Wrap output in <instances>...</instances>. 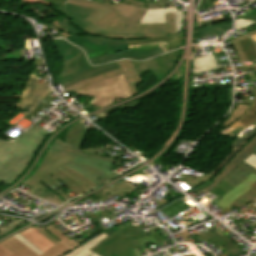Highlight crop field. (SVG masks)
<instances>
[{
	"mask_svg": "<svg viewBox=\"0 0 256 256\" xmlns=\"http://www.w3.org/2000/svg\"><path fill=\"white\" fill-rule=\"evenodd\" d=\"M133 0H125L116 7L89 1L69 0V3L97 9L85 20L94 24L81 31L87 35L106 36L115 39L154 38L175 33L173 13L166 14V23L138 25L147 9L126 5Z\"/></svg>",
	"mask_w": 256,
	"mask_h": 256,
	"instance_id": "8a807250",
	"label": "crop field"
},
{
	"mask_svg": "<svg viewBox=\"0 0 256 256\" xmlns=\"http://www.w3.org/2000/svg\"><path fill=\"white\" fill-rule=\"evenodd\" d=\"M74 157L61 153L60 156L48 151L43 162L35 171L34 175L28 178L24 183L30 185L31 187L35 185L38 181L45 178L47 175L54 174L55 177L62 182H64L67 187L76 195L79 196L89 190L78 183L74 178L60 170L59 168L67 164Z\"/></svg>",
	"mask_w": 256,
	"mask_h": 256,
	"instance_id": "ac0d7876",
	"label": "crop field"
},
{
	"mask_svg": "<svg viewBox=\"0 0 256 256\" xmlns=\"http://www.w3.org/2000/svg\"><path fill=\"white\" fill-rule=\"evenodd\" d=\"M77 94L93 97L90 103L101 108L113 104L115 98L128 99L133 96L122 74L88 86Z\"/></svg>",
	"mask_w": 256,
	"mask_h": 256,
	"instance_id": "34b2d1b8",
	"label": "crop field"
},
{
	"mask_svg": "<svg viewBox=\"0 0 256 256\" xmlns=\"http://www.w3.org/2000/svg\"><path fill=\"white\" fill-rule=\"evenodd\" d=\"M53 45L63 60V71L56 78L58 84L103 66H90L83 52L64 40H53Z\"/></svg>",
	"mask_w": 256,
	"mask_h": 256,
	"instance_id": "412701ff",
	"label": "crop field"
},
{
	"mask_svg": "<svg viewBox=\"0 0 256 256\" xmlns=\"http://www.w3.org/2000/svg\"><path fill=\"white\" fill-rule=\"evenodd\" d=\"M48 150H51L60 155L61 152L69 153L76 158L73 161L84 164L86 166L95 168L110 177H115L116 173L112 172L114 159L106 157H93L80 152V149H76L62 140L57 139L53 142Z\"/></svg>",
	"mask_w": 256,
	"mask_h": 256,
	"instance_id": "f4fd0767",
	"label": "crop field"
},
{
	"mask_svg": "<svg viewBox=\"0 0 256 256\" xmlns=\"http://www.w3.org/2000/svg\"><path fill=\"white\" fill-rule=\"evenodd\" d=\"M140 246L139 241L116 231L91 251L100 256H137L133 249Z\"/></svg>",
	"mask_w": 256,
	"mask_h": 256,
	"instance_id": "dd49c442",
	"label": "crop field"
},
{
	"mask_svg": "<svg viewBox=\"0 0 256 256\" xmlns=\"http://www.w3.org/2000/svg\"><path fill=\"white\" fill-rule=\"evenodd\" d=\"M60 36L73 44L80 46L85 53L106 50L111 52H120L127 49L126 40L108 39L105 37L80 36L76 37L64 32L59 33Z\"/></svg>",
	"mask_w": 256,
	"mask_h": 256,
	"instance_id": "e52e79f7",
	"label": "crop field"
},
{
	"mask_svg": "<svg viewBox=\"0 0 256 256\" xmlns=\"http://www.w3.org/2000/svg\"><path fill=\"white\" fill-rule=\"evenodd\" d=\"M72 250L62 241L39 256H61ZM0 256H38L13 236L0 242Z\"/></svg>",
	"mask_w": 256,
	"mask_h": 256,
	"instance_id": "d8731c3e",
	"label": "crop field"
},
{
	"mask_svg": "<svg viewBox=\"0 0 256 256\" xmlns=\"http://www.w3.org/2000/svg\"><path fill=\"white\" fill-rule=\"evenodd\" d=\"M121 70L117 63L100 67L86 74L78 76L74 79L62 83V87L67 91L76 89V91L91 85L99 80L107 79L115 75L121 74Z\"/></svg>",
	"mask_w": 256,
	"mask_h": 256,
	"instance_id": "5a996713",
	"label": "crop field"
},
{
	"mask_svg": "<svg viewBox=\"0 0 256 256\" xmlns=\"http://www.w3.org/2000/svg\"><path fill=\"white\" fill-rule=\"evenodd\" d=\"M180 50L163 54L154 59L143 61V62H133L138 74L141 76L144 72L150 70L155 77L160 81L163 79L169 70L174 65L175 61L179 56Z\"/></svg>",
	"mask_w": 256,
	"mask_h": 256,
	"instance_id": "3316defc",
	"label": "crop field"
},
{
	"mask_svg": "<svg viewBox=\"0 0 256 256\" xmlns=\"http://www.w3.org/2000/svg\"><path fill=\"white\" fill-rule=\"evenodd\" d=\"M36 76L31 75L22 94L17 107L32 112L42 99L51 91L49 84L39 85L35 83Z\"/></svg>",
	"mask_w": 256,
	"mask_h": 256,
	"instance_id": "28ad6ade",
	"label": "crop field"
},
{
	"mask_svg": "<svg viewBox=\"0 0 256 256\" xmlns=\"http://www.w3.org/2000/svg\"><path fill=\"white\" fill-rule=\"evenodd\" d=\"M220 188L224 189L228 193L225 194L222 199L216 204L221 208L222 213L231 211V204L238 199L241 195H243L248 190L252 189L256 186V176L250 175L246 178L242 183L238 186H233L226 181H222L219 185Z\"/></svg>",
	"mask_w": 256,
	"mask_h": 256,
	"instance_id": "d1516ede",
	"label": "crop field"
},
{
	"mask_svg": "<svg viewBox=\"0 0 256 256\" xmlns=\"http://www.w3.org/2000/svg\"><path fill=\"white\" fill-rule=\"evenodd\" d=\"M181 33L171 34L165 37L144 39V40H127L128 49H149L159 46L162 53L179 48L181 45Z\"/></svg>",
	"mask_w": 256,
	"mask_h": 256,
	"instance_id": "22f410ed",
	"label": "crop field"
},
{
	"mask_svg": "<svg viewBox=\"0 0 256 256\" xmlns=\"http://www.w3.org/2000/svg\"><path fill=\"white\" fill-rule=\"evenodd\" d=\"M256 149V135L249 140L245 146L218 172L211 180L213 184L203 188L201 191L207 193L217 184H219L232 170L235 169L243 160Z\"/></svg>",
	"mask_w": 256,
	"mask_h": 256,
	"instance_id": "cbeb9de0",
	"label": "crop field"
},
{
	"mask_svg": "<svg viewBox=\"0 0 256 256\" xmlns=\"http://www.w3.org/2000/svg\"><path fill=\"white\" fill-rule=\"evenodd\" d=\"M33 155L29 152L23 158L13 155L0 169V179L8 184L14 182L25 171Z\"/></svg>",
	"mask_w": 256,
	"mask_h": 256,
	"instance_id": "5142ce71",
	"label": "crop field"
},
{
	"mask_svg": "<svg viewBox=\"0 0 256 256\" xmlns=\"http://www.w3.org/2000/svg\"><path fill=\"white\" fill-rule=\"evenodd\" d=\"M161 54L159 47L149 49V50H125L120 53L112 54V55H102L94 58L88 59L92 65H97L101 63H105L108 61L120 59V58H132L135 60L148 59L153 56Z\"/></svg>",
	"mask_w": 256,
	"mask_h": 256,
	"instance_id": "d9b57169",
	"label": "crop field"
},
{
	"mask_svg": "<svg viewBox=\"0 0 256 256\" xmlns=\"http://www.w3.org/2000/svg\"><path fill=\"white\" fill-rule=\"evenodd\" d=\"M54 10L69 18L71 23L80 30L87 24L92 26L83 19L95 11L94 9L66 3L61 9L55 7Z\"/></svg>",
	"mask_w": 256,
	"mask_h": 256,
	"instance_id": "733c2abd",
	"label": "crop field"
},
{
	"mask_svg": "<svg viewBox=\"0 0 256 256\" xmlns=\"http://www.w3.org/2000/svg\"><path fill=\"white\" fill-rule=\"evenodd\" d=\"M41 182V181H40ZM43 183H45L47 186H49L51 189H53L55 192H57L59 195H61L66 200L70 199L67 197L63 191H61L59 188H57L55 185H53L50 181H48L46 178L42 180ZM28 193L42 198L44 200L50 201L52 203L61 205L64 203L60 198H58L53 192H51L49 189L44 187L42 184L37 183L31 190L28 191Z\"/></svg>",
	"mask_w": 256,
	"mask_h": 256,
	"instance_id": "4a817a6b",
	"label": "crop field"
},
{
	"mask_svg": "<svg viewBox=\"0 0 256 256\" xmlns=\"http://www.w3.org/2000/svg\"><path fill=\"white\" fill-rule=\"evenodd\" d=\"M35 125L24 134L20 135L17 139H15L14 142L26 145L37 150L43 139L50 133Z\"/></svg>",
	"mask_w": 256,
	"mask_h": 256,
	"instance_id": "bc2a9ffb",
	"label": "crop field"
},
{
	"mask_svg": "<svg viewBox=\"0 0 256 256\" xmlns=\"http://www.w3.org/2000/svg\"><path fill=\"white\" fill-rule=\"evenodd\" d=\"M65 166H67V167L75 170L76 172L80 173L81 175L85 176L88 180H90L96 186L112 179L97 170H94L92 168L86 167L84 165L78 164L73 161L69 162Z\"/></svg>",
	"mask_w": 256,
	"mask_h": 256,
	"instance_id": "214f88e0",
	"label": "crop field"
},
{
	"mask_svg": "<svg viewBox=\"0 0 256 256\" xmlns=\"http://www.w3.org/2000/svg\"><path fill=\"white\" fill-rule=\"evenodd\" d=\"M252 126H254L255 128L231 143V151L223 159V161L210 173L215 175L218 171H220L225 166V164L244 146V144L256 134V123Z\"/></svg>",
	"mask_w": 256,
	"mask_h": 256,
	"instance_id": "92a150f3",
	"label": "crop field"
},
{
	"mask_svg": "<svg viewBox=\"0 0 256 256\" xmlns=\"http://www.w3.org/2000/svg\"><path fill=\"white\" fill-rule=\"evenodd\" d=\"M118 64L123 72V75L133 93V95L137 94L136 86L135 84L140 83L141 80L133 67L131 61L129 60H120L118 61Z\"/></svg>",
	"mask_w": 256,
	"mask_h": 256,
	"instance_id": "dafd665d",
	"label": "crop field"
},
{
	"mask_svg": "<svg viewBox=\"0 0 256 256\" xmlns=\"http://www.w3.org/2000/svg\"><path fill=\"white\" fill-rule=\"evenodd\" d=\"M20 235L25 237L31 244H33L43 252L54 245L51 241L38 233L34 228H29L20 232Z\"/></svg>",
	"mask_w": 256,
	"mask_h": 256,
	"instance_id": "00972430",
	"label": "crop field"
},
{
	"mask_svg": "<svg viewBox=\"0 0 256 256\" xmlns=\"http://www.w3.org/2000/svg\"><path fill=\"white\" fill-rule=\"evenodd\" d=\"M107 236L108 235L101 233L63 256H98L89 250L92 249L96 244L100 243Z\"/></svg>",
	"mask_w": 256,
	"mask_h": 256,
	"instance_id": "a9b5d70f",
	"label": "crop field"
},
{
	"mask_svg": "<svg viewBox=\"0 0 256 256\" xmlns=\"http://www.w3.org/2000/svg\"><path fill=\"white\" fill-rule=\"evenodd\" d=\"M256 122V98L250 110L231 127L232 131L227 134L236 135Z\"/></svg>",
	"mask_w": 256,
	"mask_h": 256,
	"instance_id": "4177f3b9",
	"label": "crop field"
},
{
	"mask_svg": "<svg viewBox=\"0 0 256 256\" xmlns=\"http://www.w3.org/2000/svg\"><path fill=\"white\" fill-rule=\"evenodd\" d=\"M218 69L217 64L214 60L213 55L204 56L197 59L192 60L190 73H199L204 71L216 70Z\"/></svg>",
	"mask_w": 256,
	"mask_h": 256,
	"instance_id": "730fd06b",
	"label": "crop field"
},
{
	"mask_svg": "<svg viewBox=\"0 0 256 256\" xmlns=\"http://www.w3.org/2000/svg\"><path fill=\"white\" fill-rule=\"evenodd\" d=\"M232 29V21H225L220 24L212 25L210 27L198 29L196 38H204L211 36H223L227 30Z\"/></svg>",
	"mask_w": 256,
	"mask_h": 256,
	"instance_id": "eef30255",
	"label": "crop field"
},
{
	"mask_svg": "<svg viewBox=\"0 0 256 256\" xmlns=\"http://www.w3.org/2000/svg\"><path fill=\"white\" fill-rule=\"evenodd\" d=\"M77 124V123H76ZM83 125L80 123L79 125H75L71 128H69L68 133L65 137L66 143L76 147L80 148L83 138L86 134L84 131L86 128H84Z\"/></svg>",
	"mask_w": 256,
	"mask_h": 256,
	"instance_id": "ae1a2a85",
	"label": "crop field"
},
{
	"mask_svg": "<svg viewBox=\"0 0 256 256\" xmlns=\"http://www.w3.org/2000/svg\"><path fill=\"white\" fill-rule=\"evenodd\" d=\"M138 189L136 186L130 184L127 181H120L115 184H112L104 189H102L103 192H105L109 197L114 194H119L120 196H125L126 194Z\"/></svg>",
	"mask_w": 256,
	"mask_h": 256,
	"instance_id": "d3111659",
	"label": "crop field"
},
{
	"mask_svg": "<svg viewBox=\"0 0 256 256\" xmlns=\"http://www.w3.org/2000/svg\"><path fill=\"white\" fill-rule=\"evenodd\" d=\"M207 229V227L205 226ZM208 230V229H207ZM216 231V230H215ZM208 230L209 237L219 246H222L229 254L232 256H237L243 252H241L237 246L228 241L226 238L218 234L217 232Z\"/></svg>",
	"mask_w": 256,
	"mask_h": 256,
	"instance_id": "750c4746",
	"label": "crop field"
},
{
	"mask_svg": "<svg viewBox=\"0 0 256 256\" xmlns=\"http://www.w3.org/2000/svg\"><path fill=\"white\" fill-rule=\"evenodd\" d=\"M177 11L176 7L164 9H148L144 18L139 24L160 23L164 22V13Z\"/></svg>",
	"mask_w": 256,
	"mask_h": 256,
	"instance_id": "bd1437ed",
	"label": "crop field"
},
{
	"mask_svg": "<svg viewBox=\"0 0 256 256\" xmlns=\"http://www.w3.org/2000/svg\"><path fill=\"white\" fill-rule=\"evenodd\" d=\"M11 141H7L4 139H0V168L8 161V159L12 156L9 154L13 148L17 145Z\"/></svg>",
	"mask_w": 256,
	"mask_h": 256,
	"instance_id": "1d83c4d3",
	"label": "crop field"
},
{
	"mask_svg": "<svg viewBox=\"0 0 256 256\" xmlns=\"http://www.w3.org/2000/svg\"><path fill=\"white\" fill-rule=\"evenodd\" d=\"M55 23L57 24L58 29L61 31L77 36L86 35L77 28H75L72 24H70V21L67 18L63 17L62 15L58 17Z\"/></svg>",
	"mask_w": 256,
	"mask_h": 256,
	"instance_id": "120bbe31",
	"label": "crop field"
},
{
	"mask_svg": "<svg viewBox=\"0 0 256 256\" xmlns=\"http://www.w3.org/2000/svg\"><path fill=\"white\" fill-rule=\"evenodd\" d=\"M60 169H62L63 171H65L66 173H68L69 175L74 177L77 181H79L87 189L91 190L96 187L90 181H88L85 177L81 176L80 174L76 173L75 171H73L65 166Z\"/></svg>",
	"mask_w": 256,
	"mask_h": 256,
	"instance_id": "d32e631a",
	"label": "crop field"
},
{
	"mask_svg": "<svg viewBox=\"0 0 256 256\" xmlns=\"http://www.w3.org/2000/svg\"><path fill=\"white\" fill-rule=\"evenodd\" d=\"M232 173L245 179L252 173L256 175V169L243 162Z\"/></svg>",
	"mask_w": 256,
	"mask_h": 256,
	"instance_id": "5866460e",
	"label": "crop field"
},
{
	"mask_svg": "<svg viewBox=\"0 0 256 256\" xmlns=\"http://www.w3.org/2000/svg\"><path fill=\"white\" fill-rule=\"evenodd\" d=\"M118 231H120L132 238H135V239H138L140 237L147 235L139 226L135 228V227L129 225V226H127L123 229H120Z\"/></svg>",
	"mask_w": 256,
	"mask_h": 256,
	"instance_id": "028f5c9d",
	"label": "crop field"
},
{
	"mask_svg": "<svg viewBox=\"0 0 256 256\" xmlns=\"http://www.w3.org/2000/svg\"><path fill=\"white\" fill-rule=\"evenodd\" d=\"M256 200V187L250 191H248L246 194H244L242 197H240L237 201L233 203L231 207L234 206H240L244 205L250 201Z\"/></svg>",
	"mask_w": 256,
	"mask_h": 256,
	"instance_id": "e1f06a70",
	"label": "crop field"
},
{
	"mask_svg": "<svg viewBox=\"0 0 256 256\" xmlns=\"http://www.w3.org/2000/svg\"><path fill=\"white\" fill-rule=\"evenodd\" d=\"M49 232H51L52 234H54L55 236H57L59 239H61L63 242H65L69 247H71L72 249L79 246L77 243H75L73 240L71 241L70 239H68L65 235H63L61 232H59L54 226H49L47 228ZM64 243V244H65Z\"/></svg>",
	"mask_w": 256,
	"mask_h": 256,
	"instance_id": "0bd39190",
	"label": "crop field"
},
{
	"mask_svg": "<svg viewBox=\"0 0 256 256\" xmlns=\"http://www.w3.org/2000/svg\"><path fill=\"white\" fill-rule=\"evenodd\" d=\"M245 38H247V37L246 36H241V37L231 41L233 46H234V48H235V50H236V53H237V55L239 57V61L240 62H244V61H247V60H246V58H245V56H244V54H243L242 50L240 49V47H239L237 42H239V41H241V40H243Z\"/></svg>",
	"mask_w": 256,
	"mask_h": 256,
	"instance_id": "b80d0937",
	"label": "crop field"
},
{
	"mask_svg": "<svg viewBox=\"0 0 256 256\" xmlns=\"http://www.w3.org/2000/svg\"><path fill=\"white\" fill-rule=\"evenodd\" d=\"M19 146H16L15 149L11 152L12 154H15V155H18V156H21L23 157L24 154L29 151L31 153H35L36 150L34 149H31V148H28L26 146H23V145H20L18 144ZM23 153V154H22Z\"/></svg>",
	"mask_w": 256,
	"mask_h": 256,
	"instance_id": "c035e120",
	"label": "crop field"
},
{
	"mask_svg": "<svg viewBox=\"0 0 256 256\" xmlns=\"http://www.w3.org/2000/svg\"><path fill=\"white\" fill-rule=\"evenodd\" d=\"M212 176L213 175H211L210 173H207L206 175H203V176H201L200 178H198V179H196L194 181H189V182H185V183H187L190 187L193 188V187H195V186H197V185H199V184L209 180Z\"/></svg>",
	"mask_w": 256,
	"mask_h": 256,
	"instance_id": "c21b1889",
	"label": "crop field"
},
{
	"mask_svg": "<svg viewBox=\"0 0 256 256\" xmlns=\"http://www.w3.org/2000/svg\"><path fill=\"white\" fill-rule=\"evenodd\" d=\"M236 24H237V28L236 31L241 30L243 28L249 27L253 24H255L256 22L250 21V20H245V19H236Z\"/></svg>",
	"mask_w": 256,
	"mask_h": 256,
	"instance_id": "03da06ac",
	"label": "crop field"
},
{
	"mask_svg": "<svg viewBox=\"0 0 256 256\" xmlns=\"http://www.w3.org/2000/svg\"><path fill=\"white\" fill-rule=\"evenodd\" d=\"M14 237H16L18 240H20L22 243H24L27 247H29L31 250H33L35 253H37L38 255L43 253L41 252L39 249H37L36 247H34L33 245H31L25 238H23L22 236H20L18 233L13 235Z\"/></svg>",
	"mask_w": 256,
	"mask_h": 256,
	"instance_id": "b54c1fbb",
	"label": "crop field"
},
{
	"mask_svg": "<svg viewBox=\"0 0 256 256\" xmlns=\"http://www.w3.org/2000/svg\"><path fill=\"white\" fill-rule=\"evenodd\" d=\"M38 232H40L42 235H44L45 237H47L49 240H51L53 243H58L59 240L57 237H55L54 235H52L51 233H49L47 230L45 229H36Z\"/></svg>",
	"mask_w": 256,
	"mask_h": 256,
	"instance_id": "5d738f31",
	"label": "crop field"
},
{
	"mask_svg": "<svg viewBox=\"0 0 256 256\" xmlns=\"http://www.w3.org/2000/svg\"><path fill=\"white\" fill-rule=\"evenodd\" d=\"M174 16H175L177 32H181L182 13L181 12L174 13Z\"/></svg>",
	"mask_w": 256,
	"mask_h": 256,
	"instance_id": "d23c7cc5",
	"label": "crop field"
},
{
	"mask_svg": "<svg viewBox=\"0 0 256 256\" xmlns=\"http://www.w3.org/2000/svg\"><path fill=\"white\" fill-rule=\"evenodd\" d=\"M22 222H23L22 220H17V221H15V222H13V223H10V224H8V225H6V226H4V227H1V228H0V231L3 232V233H5V232H7L8 230H10V229L14 228L15 226L19 225V224L22 223Z\"/></svg>",
	"mask_w": 256,
	"mask_h": 256,
	"instance_id": "425ffa30",
	"label": "crop field"
},
{
	"mask_svg": "<svg viewBox=\"0 0 256 256\" xmlns=\"http://www.w3.org/2000/svg\"><path fill=\"white\" fill-rule=\"evenodd\" d=\"M221 17H222V15H221ZM224 17V16H223ZM218 18V17H215L214 19L215 20H212V21H209V23H207V24H205V23H203L202 25H200L199 27H197V28H201V27H205V26H209V25H212V24H215V23H220V22H222V21H225L224 20V18Z\"/></svg>",
	"mask_w": 256,
	"mask_h": 256,
	"instance_id": "25e5ab78",
	"label": "crop field"
},
{
	"mask_svg": "<svg viewBox=\"0 0 256 256\" xmlns=\"http://www.w3.org/2000/svg\"><path fill=\"white\" fill-rule=\"evenodd\" d=\"M246 163L250 164L251 166L255 167L256 168V156L254 155H250L248 156L245 161Z\"/></svg>",
	"mask_w": 256,
	"mask_h": 256,
	"instance_id": "73cf0c24",
	"label": "crop field"
},
{
	"mask_svg": "<svg viewBox=\"0 0 256 256\" xmlns=\"http://www.w3.org/2000/svg\"><path fill=\"white\" fill-rule=\"evenodd\" d=\"M152 234H153V236L155 237V239L157 240L159 246H162V243H161V242H164L165 240L162 238V236L159 234V232L156 231V232H154V233H152ZM156 240H155V241H156Z\"/></svg>",
	"mask_w": 256,
	"mask_h": 256,
	"instance_id": "89e229c0",
	"label": "crop field"
},
{
	"mask_svg": "<svg viewBox=\"0 0 256 256\" xmlns=\"http://www.w3.org/2000/svg\"><path fill=\"white\" fill-rule=\"evenodd\" d=\"M44 1L54 3L57 5V7L61 8V6L65 3L66 0H44Z\"/></svg>",
	"mask_w": 256,
	"mask_h": 256,
	"instance_id": "1f2cbd36",
	"label": "crop field"
},
{
	"mask_svg": "<svg viewBox=\"0 0 256 256\" xmlns=\"http://www.w3.org/2000/svg\"><path fill=\"white\" fill-rule=\"evenodd\" d=\"M224 180H226V181H228V182H230L231 184H233V185H238L241 181H239V180H236V179H233V178H231V177H226Z\"/></svg>",
	"mask_w": 256,
	"mask_h": 256,
	"instance_id": "dbb93151",
	"label": "crop field"
},
{
	"mask_svg": "<svg viewBox=\"0 0 256 256\" xmlns=\"http://www.w3.org/2000/svg\"><path fill=\"white\" fill-rule=\"evenodd\" d=\"M181 237L183 238L184 242H189L186 236H190L187 231L180 233Z\"/></svg>",
	"mask_w": 256,
	"mask_h": 256,
	"instance_id": "0fb4a251",
	"label": "crop field"
},
{
	"mask_svg": "<svg viewBox=\"0 0 256 256\" xmlns=\"http://www.w3.org/2000/svg\"><path fill=\"white\" fill-rule=\"evenodd\" d=\"M209 4H211V3L208 0H203L202 4H201L202 9H204L203 7H205V6L209 5ZM211 5L214 6L213 4H211Z\"/></svg>",
	"mask_w": 256,
	"mask_h": 256,
	"instance_id": "1d79db26",
	"label": "crop field"
},
{
	"mask_svg": "<svg viewBox=\"0 0 256 256\" xmlns=\"http://www.w3.org/2000/svg\"><path fill=\"white\" fill-rule=\"evenodd\" d=\"M254 204H256V201L251 203L243 212H247Z\"/></svg>",
	"mask_w": 256,
	"mask_h": 256,
	"instance_id": "9d1cf04e",
	"label": "crop field"
},
{
	"mask_svg": "<svg viewBox=\"0 0 256 256\" xmlns=\"http://www.w3.org/2000/svg\"><path fill=\"white\" fill-rule=\"evenodd\" d=\"M245 18H246V19H251V20L256 21V15H252V16L245 17Z\"/></svg>",
	"mask_w": 256,
	"mask_h": 256,
	"instance_id": "447ae74e",
	"label": "crop field"
},
{
	"mask_svg": "<svg viewBox=\"0 0 256 256\" xmlns=\"http://www.w3.org/2000/svg\"><path fill=\"white\" fill-rule=\"evenodd\" d=\"M254 34H256V30H255V31H252V32H250V33H247V34H245V35L251 36V35H254Z\"/></svg>",
	"mask_w": 256,
	"mask_h": 256,
	"instance_id": "0765c3eb",
	"label": "crop field"
},
{
	"mask_svg": "<svg viewBox=\"0 0 256 256\" xmlns=\"http://www.w3.org/2000/svg\"><path fill=\"white\" fill-rule=\"evenodd\" d=\"M135 252H136V254H137L138 256H141V254H140V252H139L138 248H137V249H135Z\"/></svg>",
	"mask_w": 256,
	"mask_h": 256,
	"instance_id": "db79e9e6",
	"label": "crop field"
},
{
	"mask_svg": "<svg viewBox=\"0 0 256 256\" xmlns=\"http://www.w3.org/2000/svg\"><path fill=\"white\" fill-rule=\"evenodd\" d=\"M251 38L254 40V42H256V35L251 36Z\"/></svg>",
	"mask_w": 256,
	"mask_h": 256,
	"instance_id": "7b73153f",
	"label": "crop field"
},
{
	"mask_svg": "<svg viewBox=\"0 0 256 256\" xmlns=\"http://www.w3.org/2000/svg\"><path fill=\"white\" fill-rule=\"evenodd\" d=\"M254 155H256V150L254 151V153H253Z\"/></svg>",
	"mask_w": 256,
	"mask_h": 256,
	"instance_id": "78b8030e",
	"label": "crop field"
},
{
	"mask_svg": "<svg viewBox=\"0 0 256 256\" xmlns=\"http://www.w3.org/2000/svg\"><path fill=\"white\" fill-rule=\"evenodd\" d=\"M256 44V43H255Z\"/></svg>",
	"mask_w": 256,
	"mask_h": 256,
	"instance_id": "0f1d7ab4",
	"label": "crop field"
}]
</instances>
